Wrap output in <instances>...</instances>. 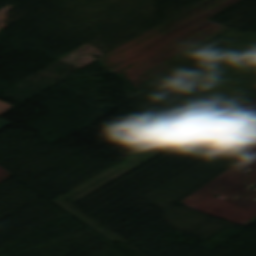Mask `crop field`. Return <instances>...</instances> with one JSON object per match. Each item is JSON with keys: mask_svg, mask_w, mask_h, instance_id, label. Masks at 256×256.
<instances>
[{"mask_svg": "<svg viewBox=\"0 0 256 256\" xmlns=\"http://www.w3.org/2000/svg\"><path fill=\"white\" fill-rule=\"evenodd\" d=\"M14 122L8 121V120H4L0 118V130L6 128L7 126L13 124Z\"/></svg>", "mask_w": 256, "mask_h": 256, "instance_id": "obj_1", "label": "crop field"}]
</instances>
